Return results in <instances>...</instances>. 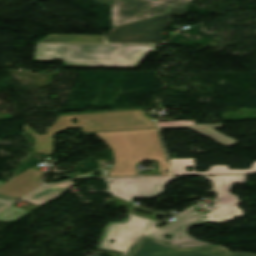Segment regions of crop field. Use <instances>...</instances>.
I'll return each instance as SVG.
<instances>
[{"label": "crop field", "instance_id": "22f410ed", "mask_svg": "<svg viewBox=\"0 0 256 256\" xmlns=\"http://www.w3.org/2000/svg\"><path fill=\"white\" fill-rule=\"evenodd\" d=\"M171 128H189L195 132H198L226 147L236 145L237 141H234L230 138L222 136L213 131L214 128H221L220 124H212V125H197V126H182V127H167L161 129H171Z\"/></svg>", "mask_w": 256, "mask_h": 256}, {"label": "crop field", "instance_id": "214f88e0", "mask_svg": "<svg viewBox=\"0 0 256 256\" xmlns=\"http://www.w3.org/2000/svg\"><path fill=\"white\" fill-rule=\"evenodd\" d=\"M4 184L2 181H0V185Z\"/></svg>", "mask_w": 256, "mask_h": 256}, {"label": "crop field", "instance_id": "cbeb9de0", "mask_svg": "<svg viewBox=\"0 0 256 256\" xmlns=\"http://www.w3.org/2000/svg\"><path fill=\"white\" fill-rule=\"evenodd\" d=\"M40 42L104 43V40L103 36L50 35Z\"/></svg>", "mask_w": 256, "mask_h": 256}, {"label": "crop field", "instance_id": "ac0d7876", "mask_svg": "<svg viewBox=\"0 0 256 256\" xmlns=\"http://www.w3.org/2000/svg\"><path fill=\"white\" fill-rule=\"evenodd\" d=\"M156 45L38 43L35 61L63 59L66 67H136Z\"/></svg>", "mask_w": 256, "mask_h": 256}, {"label": "crop field", "instance_id": "e52e79f7", "mask_svg": "<svg viewBox=\"0 0 256 256\" xmlns=\"http://www.w3.org/2000/svg\"><path fill=\"white\" fill-rule=\"evenodd\" d=\"M213 184L211 192L217 194L213 200L215 209L205 214L208 216L207 222L227 223L233 218L243 217L244 215L236 208L240 201L235 195L228 194L232 183L245 184V175L242 176H203Z\"/></svg>", "mask_w": 256, "mask_h": 256}, {"label": "crop field", "instance_id": "dd49c442", "mask_svg": "<svg viewBox=\"0 0 256 256\" xmlns=\"http://www.w3.org/2000/svg\"><path fill=\"white\" fill-rule=\"evenodd\" d=\"M192 0H113L112 27L165 14L171 6L188 8Z\"/></svg>", "mask_w": 256, "mask_h": 256}, {"label": "crop field", "instance_id": "5a996713", "mask_svg": "<svg viewBox=\"0 0 256 256\" xmlns=\"http://www.w3.org/2000/svg\"><path fill=\"white\" fill-rule=\"evenodd\" d=\"M130 256H256L250 253H230L224 247L209 246L180 249L168 244L142 237Z\"/></svg>", "mask_w": 256, "mask_h": 256}, {"label": "crop field", "instance_id": "28ad6ade", "mask_svg": "<svg viewBox=\"0 0 256 256\" xmlns=\"http://www.w3.org/2000/svg\"><path fill=\"white\" fill-rule=\"evenodd\" d=\"M75 184L76 183L69 181L56 185H48L36 190L35 192L27 195L21 200L41 206L52 200L53 198L59 196L60 194L66 192Z\"/></svg>", "mask_w": 256, "mask_h": 256}, {"label": "crop field", "instance_id": "f4fd0767", "mask_svg": "<svg viewBox=\"0 0 256 256\" xmlns=\"http://www.w3.org/2000/svg\"><path fill=\"white\" fill-rule=\"evenodd\" d=\"M187 12L171 7L166 15L114 27L107 36L108 43H160L164 40L162 32L173 23L169 16L182 17Z\"/></svg>", "mask_w": 256, "mask_h": 256}, {"label": "crop field", "instance_id": "8a807250", "mask_svg": "<svg viewBox=\"0 0 256 256\" xmlns=\"http://www.w3.org/2000/svg\"><path fill=\"white\" fill-rule=\"evenodd\" d=\"M204 221V215L193 212L160 229L155 226L157 221L129 215L124 222L106 223L97 250L112 251L122 253L121 256H129L142 236L161 242L168 241L171 245L180 248L209 246L210 244L194 239L186 233L187 228L203 225ZM166 235L172 238L164 239ZM110 240L115 242L110 244Z\"/></svg>", "mask_w": 256, "mask_h": 256}, {"label": "crop field", "instance_id": "d9b57169", "mask_svg": "<svg viewBox=\"0 0 256 256\" xmlns=\"http://www.w3.org/2000/svg\"><path fill=\"white\" fill-rule=\"evenodd\" d=\"M201 204H203V203H202V202H199V203H197V204L191 206L190 208H188V209H186V210L180 212L179 214H177V216H182V215L185 214L186 212H188V211L194 209L195 207H197V206H199V205H201Z\"/></svg>", "mask_w": 256, "mask_h": 256}, {"label": "crop field", "instance_id": "4a817a6b", "mask_svg": "<svg viewBox=\"0 0 256 256\" xmlns=\"http://www.w3.org/2000/svg\"><path fill=\"white\" fill-rule=\"evenodd\" d=\"M0 200L11 203L14 199H10V198H7V197L0 196Z\"/></svg>", "mask_w": 256, "mask_h": 256}, {"label": "crop field", "instance_id": "bc2a9ffb", "mask_svg": "<svg viewBox=\"0 0 256 256\" xmlns=\"http://www.w3.org/2000/svg\"><path fill=\"white\" fill-rule=\"evenodd\" d=\"M6 205H8V203H4V202H1V201H0V208L4 207V206H6Z\"/></svg>", "mask_w": 256, "mask_h": 256}, {"label": "crop field", "instance_id": "d8731c3e", "mask_svg": "<svg viewBox=\"0 0 256 256\" xmlns=\"http://www.w3.org/2000/svg\"><path fill=\"white\" fill-rule=\"evenodd\" d=\"M176 177H132L105 179L114 196L131 201L132 198H150L163 193V189ZM112 180L113 183H109ZM132 202V201H131Z\"/></svg>", "mask_w": 256, "mask_h": 256}, {"label": "crop field", "instance_id": "34b2d1b8", "mask_svg": "<svg viewBox=\"0 0 256 256\" xmlns=\"http://www.w3.org/2000/svg\"><path fill=\"white\" fill-rule=\"evenodd\" d=\"M113 151L114 165L108 176L138 175L135 165L158 160L161 175L169 171L157 128L95 133ZM169 174V173H168Z\"/></svg>", "mask_w": 256, "mask_h": 256}, {"label": "crop field", "instance_id": "3316defc", "mask_svg": "<svg viewBox=\"0 0 256 256\" xmlns=\"http://www.w3.org/2000/svg\"><path fill=\"white\" fill-rule=\"evenodd\" d=\"M42 174V172L30 169L15 179L9 180L10 182L0 186V195L17 199L39 187Z\"/></svg>", "mask_w": 256, "mask_h": 256}, {"label": "crop field", "instance_id": "5142ce71", "mask_svg": "<svg viewBox=\"0 0 256 256\" xmlns=\"http://www.w3.org/2000/svg\"><path fill=\"white\" fill-rule=\"evenodd\" d=\"M29 212L19 209L13 205L8 206L3 211L0 212L1 221H12L15 220Z\"/></svg>", "mask_w": 256, "mask_h": 256}, {"label": "crop field", "instance_id": "733c2abd", "mask_svg": "<svg viewBox=\"0 0 256 256\" xmlns=\"http://www.w3.org/2000/svg\"><path fill=\"white\" fill-rule=\"evenodd\" d=\"M99 3H102V4H105V5H109L110 6V3H111V0H95Z\"/></svg>", "mask_w": 256, "mask_h": 256}, {"label": "crop field", "instance_id": "412701ff", "mask_svg": "<svg viewBox=\"0 0 256 256\" xmlns=\"http://www.w3.org/2000/svg\"><path fill=\"white\" fill-rule=\"evenodd\" d=\"M74 118L77 124L71 123ZM71 127H84L81 132H103L156 126L142 110H132L58 116L47 128L46 135L38 134L26 124L23 131L33 138L34 152L50 155L53 154L52 136Z\"/></svg>", "mask_w": 256, "mask_h": 256}, {"label": "crop field", "instance_id": "d1516ede", "mask_svg": "<svg viewBox=\"0 0 256 256\" xmlns=\"http://www.w3.org/2000/svg\"><path fill=\"white\" fill-rule=\"evenodd\" d=\"M173 174H230L256 172V162H253L250 170H228L227 166H213L208 172H194L192 159H170ZM192 166L193 172H186L185 167Z\"/></svg>", "mask_w": 256, "mask_h": 256}]
</instances>
